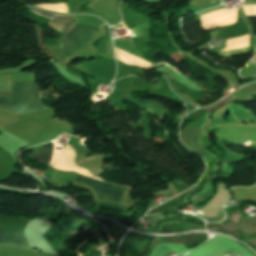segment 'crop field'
Here are the masks:
<instances>
[{
    "label": "crop field",
    "instance_id": "8a807250",
    "mask_svg": "<svg viewBox=\"0 0 256 256\" xmlns=\"http://www.w3.org/2000/svg\"><path fill=\"white\" fill-rule=\"evenodd\" d=\"M29 11L38 15L50 18L48 25L60 31L62 34L73 24L74 18L58 15H49L29 7ZM98 28L73 24L60 38V47L65 56L73 53L87 42H89L97 33Z\"/></svg>",
    "mask_w": 256,
    "mask_h": 256
},
{
    "label": "crop field",
    "instance_id": "ac0d7876",
    "mask_svg": "<svg viewBox=\"0 0 256 256\" xmlns=\"http://www.w3.org/2000/svg\"><path fill=\"white\" fill-rule=\"evenodd\" d=\"M11 93H0V107L17 113L43 109L34 81L10 82Z\"/></svg>",
    "mask_w": 256,
    "mask_h": 256
},
{
    "label": "crop field",
    "instance_id": "34b2d1b8",
    "mask_svg": "<svg viewBox=\"0 0 256 256\" xmlns=\"http://www.w3.org/2000/svg\"><path fill=\"white\" fill-rule=\"evenodd\" d=\"M50 145H51V143L44 145L38 151L34 152L31 155V157L40 161L41 163L47 164L48 157H49V151H50ZM53 147H54V145H53ZM74 180L91 186L95 190L99 199L109 200V201H113V202H117V203H120L122 195L126 189L125 187L103 183V182H100V181H97V180H94V179H91V178H88V177H85V176H82L79 174H76V179H74Z\"/></svg>",
    "mask_w": 256,
    "mask_h": 256
},
{
    "label": "crop field",
    "instance_id": "412701ff",
    "mask_svg": "<svg viewBox=\"0 0 256 256\" xmlns=\"http://www.w3.org/2000/svg\"><path fill=\"white\" fill-rule=\"evenodd\" d=\"M29 220L15 217L0 216V229L22 231ZM0 230V243L13 244L30 249L22 232Z\"/></svg>",
    "mask_w": 256,
    "mask_h": 256
},
{
    "label": "crop field",
    "instance_id": "f4fd0767",
    "mask_svg": "<svg viewBox=\"0 0 256 256\" xmlns=\"http://www.w3.org/2000/svg\"><path fill=\"white\" fill-rule=\"evenodd\" d=\"M249 21L252 23V31L254 36H256V16L247 17Z\"/></svg>",
    "mask_w": 256,
    "mask_h": 256
},
{
    "label": "crop field",
    "instance_id": "dd49c442",
    "mask_svg": "<svg viewBox=\"0 0 256 256\" xmlns=\"http://www.w3.org/2000/svg\"><path fill=\"white\" fill-rule=\"evenodd\" d=\"M115 53H116V58L119 59V58H118V52H117L116 49H115Z\"/></svg>",
    "mask_w": 256,
    "mask_h": 256
},
{
    "label": "crop field",
    "instance_id": "e52e79f7",
    "mask_svg": "<svg viewBox=\"0 0 256 256\" xmlns=\"http://www.w3.org/2000/svg\"><path fill=\"white\" fill-rule=\"evenodd\" d=\"M133 30H134V29H133ZM134 33H135V31H134ZM135 36L137 37L136 33H135Z\"/></svg>",
    "mask_w": 256,
    "mask_h": 256
},
{
    "label": "crop field",
    "instance_id": "d8731c3e",
    "mask_svg": "<svg viewBox=\"0 0 256 256\" xmlns=\"http://www.w3.org/2000/svg\"><path fill=\"white\" fill-rule=\"evenodd\" d=\"M117 30V29H116Z\"/></svg>",
    "mask_w": 256,
    "mask_h": 256
}]
</instances>
